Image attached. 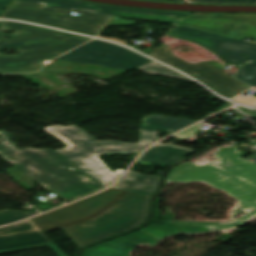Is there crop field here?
I'll list each match as a JSON object with an SVG mask.
<instances>
[{
	"label": "crop field",
	"instance_id": "crop-field-1",
	"mask_svg": "<svg viewBox=\"0 0 256 256\" xmlns=\"http://www.w3.org/2000/svg\"><path fill=\"white\" fill-rule=\"evenodd\" d=\"M150 199L109 189L47 215L82 248L143 224Z\"/></svg>",
	"mask_w": 256,
	"mask_h": 256
},
{
	"label": "crop field",
	"instance_id": "crop-field-2",
	"mask_svg": "<svg viewBox=\"0 0 256 256\" xmlns=\"http://www.w3.org/2000/svg\"><path fill=\"white\" fill-rule=\"evenodd\" d=\"M70 11H77L80 17L67 18ZM184 13L137 9L77 2L71 0H13L0 17L67 28L79 33L96 36L106 26L133 25V22L113 19L131 18L162 22H173Z\"/></svg>",
	"mask_w": 256,
	"mask_h": 256
},
{
	"label": "crop field",
	"instance_id": "crop-field-3",
	"mask_svg": "<svg viewBox=\"0 0 256 256\" xmlns=\"http://www.w3.org/2000/svg\"><path fill=\"white\" fill-rule=\"evenodd\" d=\"M194 122L196 121L162 115L144 117L141 120L139 143L99 141L74 124L54 125L44 129L66 144V148L56 150L58 153L106 187L123 170L118 169L113 173L97 156L98 154L138 153L159 139L158 131L175 132Z\"/></svg>",
	"mask_w": 256,
	"mask_h": 256
},
{
	"label": "crop field",
	"instance_id": "crop-field-4",
	"mask_svg": "<svg viewBox=\"0 0 256 256\" xmlns=\"http://www.w3.org/2000/svg\"><path fill=\"white\" fill-rule=\"evenodd\" d=\"M0 155L60 198L72 201L103 188L85 180L88 176L53 149L17 151L5 133L0 132Z\"/></svg>",
	"mask_w": 256,
	"mask_h": 256
},
{
	"label": "crop field",
	"instance_id": "crop-field-5",
	"mask_svg": "<svg viewBox=\"0 0 256 256\" xmlns=\"http://www.w3.org/2000/svg\"><path fill=\"white\" fill-rule=\"evenodd\" d=\"M217 162L194 165L189 162L172 170L167 181L193 182L201 180L213 187L226 191L238 200V206L231 211L232 220L256 208V165L240 157L237 143L229 148H219ZM241 168L240 170L237 168Z\"/></svg>",
	"mask_w": 256,
	"mask_h": 256
},
{
	"label": "crop field",
	"instance_id": "crop-field-6",
	"mask_svg": "<svg viewBox=\"0 0 256 256\" xmlns=\"http://www.w3.org/2000/svg\"><path fill=\"white\" fill-rule=\"evenodd\" d=\"M91 38L73 34H48L0 41V50L17 49L19 55H0V73L37 71L40 63L53 59Z\"/></svg>",
	"mask_w": 256,
	"mask_h": 256
},
{
	"label": "crop field",
	"instance_id": "crop-field-7",
	"mask_svg": "<svg viewBox=\"0 0 256 256\" xmlns=\"http://www.w3.org/2000/svg\"><path fill=\"white\" fill-rule=\"evenodd\" d=\"M254 216H256V211L227 223L176 222L174 224L186 234H198L235 227ZM176 233H180V231L172 223L151 226L136 233L94 246L84 251L83 256H129L130 251L137 245L155 247L160 239Z\"/></svg>",
	"mask_w": 256,
	"mask_h": 256
},
{
	"label": "crop field",
	"instance_id": "crop-field-8",
	"mask_svg": "<svg viewBox=\"0 0 256 256\" xmlns=\"http://www.w3.org/2000/svg\"><path fill=\"white\" fill-rule=\"evenodd\" d=\"M190 14L186 13L173 22L176 27L168 35L200 44L227 61L241 66L236 74L237 79L256 87V44L178 25Z\"/></svg>",
	"mask_w": 256,
	"mask_h": 256
},
{
	"label": "crop field",
	"instance_id": "crop-field-9",
	"mask_svg": "<svg viewBox=\"0 0 256 256\" xmlns=\"http://www.w3.org/2000/svg\"><path fill=\"white\" fill-rule=\"evenodd\" d=\"M141 56L117 45L94 40L57 59L128 71L152 61Z\"/></svg>",
	"mask_w": 256,
	"mask_h": 256
},
{
	"label": "crop field",
	"instance_id": "crop-field-10",
	"mask_svg": "<svg viewBox=\"0 0 256 256\" xmlns=\"http://www.w3.org/2000/svg\"><path fill=\"white\" fill-rule=\"evenodd\" d=\"M147 55L198 78L214 91L227 98H232L250 88L206 62L190 64L174 57L168 46L164 44Z\"/></svg>",
	"mask_w": 256,
	"mask_h": 256
},
{
	"label": "crop field",
	"instance_id": "crop-field-11",
	"mask_svg": "<svg viewBox=\"0 0 256 256\" xmlns=\"http://www.w3.org/2000/svg\"><path fill=\"white\" fill-rule=\"evenodd\" d=\"M180 25L239 40L256 39V14H191Z\"/></svg>",
	"mask_w": 256,
	"mask_h": 256
},
{
	"label": "crop field",
	"instance_id": "crop-field-12",
	"mask_svg": "<svg viewBox=\"0 0 256 256\" xmlns=\"http://www.w3.org/2000/svg\"><path fill=\"white\" fill-rule=\"evenodd\" d=\"M49 246L59 256H66L30 220L0 228V254Z\"/></svg>",
	"mask_w": 256,
	"mask_h": 256
},
{
	"label": "crop field",
	"instance_id": "crop-field-13",
	"mask_svg": "<svg viewBox=\"0 0 256 256\" xmlns=\"http://www.w3.org/2000/svg\"><path fill=\"white\" fill-rule=\"evenodd\" d=\"M193 151L194 150L192 149L178 147L172 144H167V145L156 144L152 148L148 149L143 154V157H140L137 162L147 166L154 163L164 167Z\"/></svg>",
	"mask_w": 256,
	"mask_h": 256
},
{
	"label": "crop field",
	"instance_id": "crop-field-14",
	"mask_svg": "<svg viewBox=\"0 0 256 256\" xmlns=\"http://www.w3.org/2000/svg\"><path fill=\"white\" fill-rule=\"evenodd\" d=\"M160 177L140 175L128 171L126 175L112 188L153 196Z\"/></svg>",
	"mask_w": 256,
	"mask_h": 256
},
{
	"label": "crop field",
	"instance_id": "crop-field-15",
	"mask_svg": "<svg viewBox=\"0 0 256 256\" xmlns=\"http://www.w3.org/2000/svg\"><path fill=\"white\" fill-rule=\"evenodd\" d=\"M158 41L164 44H167L175 56L190 63H199L201 61H209V60H215L219 58V56L211 53L207 49L182 39L164 36ZM182 45L189 46L190 47L189 52L180 53L173 50L175 47L182 46Z\"/></svg>",
	"mask_w": 256,
	"mask_h": 256
},
{
	"label": "crop field",
	"instance_id": "crop-field-16",
	"mask_svg": "<svg viewBox=\"0 0 256 256\" xmlns=\"http://www.w3.org/2000/svg\"><path fill=\"white\" fill-rule=\"evenodd\" d=\"M2 30H14L16 32L12 35H9L6 33H2ZM55 32L58 31L43 27H37L29 24H24L20 22L0 21V40L3 39L2 36L4 35L10 38H17Z\"/></svg>",
	"mask_w": 256,
	"mask_h": 256
},
{
	"label": "crop field",
	"instance_id": "crop-field-17",
	"mask_svg": "<svg viewBox=\"0 0 256 256\" xmlns=\"http://www.w3.org/2000/svg\"><path fill=\"white\" fill-rule=\"evenodd\" d=\"M138 69L148 73V74H161V75H165V76H169V77H173V78H177L180 80H184V81H188L191 83H194L191 79H189L188 77L174 71L171 70L169 68H166L164 66L158 65L157 63H155L154 61L143 65L141 67H139Z\"/></svg>",
	"mask_w": 256,
	"mask_h": 256
},
{
	"label": "crop field",
	"instance_id": "crop-field-18",
	"mask_svg": "<svg viewBox=\"0 0 256 256\" xmlns=\"http://www.w3.org/2000/svg\"><path fill=\"white\" fill-rule=\"evenodd\" d=\"M39 211H31L28 213L20 212V211H11V210H4L0 211V225L8 224L17 220L24 219L31 215L37 214Z\"/></svg>",
	"mask_w": 256,
	"mask_h": 256
},
{
	"label": "crop field",
	"instance_id": "crop-field-19",
	"mask_svg": "<svg viewBox=\"0 0 256 256\" xmlns=\"http://www.w3.org/2000/svg\"><path fill=\"white\" fill-rule=\"evenodd\" d=\"M31 221L37 225L42 231L57 228V226L51 221V219L46 215H42L31 219Z\"/></svg>",
	"mask_w": 256,
	"mask_h": 256
},
{
	"label": "crop field",
	"instance_id": "crop-field-20",
	"mask_svg": "<svg viewBox=\"0 0 256 256\" xmlns=\"http://www.w3.org/2000/svg\"><path fill=\"white\" fill-rule=\"evenodd\" d=\"M193 3L256 4V0H188Z\"/></svg>",
	"mask_w": 256,
	"mask_h": 256
},
{
	"label": "crop field",
	"instance_id": "crop-field-21",
	"mask_svg": "<svg viewBox=\"0 0 256 256\" xmlns=\"http://www.w3.org/2000/svg\"><path fill=\"white\" fill-rule=\"evenodd\" d=\"M221 59V58H220ZM209 64H211V65H213V66H215V67H217L219 70H221V71H223L224 73H226V74H228V75H231V70H234V69H232V68H230V69H225L224 67H226V66H228V65H230V66H234V67H236L237 68V71H238V69H239V67L238 66H236V65H231V64H229L228 62H226V61H224L223 59H221L220 61L217 59V60H215V61H210V62H208ZM235 71V73L237 72L236 70H234ZM234 73V74H235Z\"/></svg>",
	"mask_w": 256,
	"mask_h": 256
},
{
	"label": "crop field",
	"instance_id": "crop-field-22",
	"mask_svg": "<svg viewBox=\"0 0 256 256\" xmlns=\"http://www.w3.org/2000/svg\"><path fill=\"white\" fill-rule=\"evenodd\" d=\"M201 124H197L187 130H184L176 135H174L175 137L183 140V139H187V138H190V137H194L196 136L199 128H200Z\"/></svg>",
	"mask_w": 256,
	"mask_h": 256
},
{
	"label": "crop field",
	"instance_id": "crop-field-23",
	"mask_svg": "<svg viewBox=\"0 0 256 256\" xmlns=\"http://www.w3.org/2000/svg\"><path fill=\"white\" fill-rule=\"evenodd\" d=\"M11 0H0V10L5 7Z\"/></svg>",
	"mask_w": 256,
	"mask_h": 256
},
{
	"label": "crop field",
	"instance_id": "crop-field-24",
	"mask_svg": "<svg viewBox=\"0 0 256 256\" xmlns=\"http://www.w3.org/2000/svg\"><path fill=\"white\" fill-rule=\"evenodd\" d=\"M162 1L183 2V0H162Z\"/></svg>",
	"mask_w": 256,
	"mask_h": 256
}]
</instances>
